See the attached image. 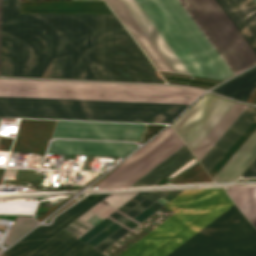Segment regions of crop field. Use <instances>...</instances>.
<instances>
[{"mask_svg":"<svg viewBox=\"0 0 256 256\" xmlns=\"http://www.w3.org/2000/svg\"><path fill=\"white\" fill-rule=\"evenodd\" d=\"M182 190L111 193L72 201L0 256H118L174 212ZM231 204L223 187L185 189L176 213L119 256H163ZM256 229L233 204L165 256H235ZM237 256H256V241Z\"/></svg>","mask_w":256,"mask_h":256,"instance_id":"1","label":"crop field"},{"mask_svg":"<svg viewBox=\"0 0 256 256\" xmlns=\"http://www.w3.org/2000/svg\"><path fill=\"white\" fill-rule=\"evenodd\" d=\"M203 92L177 86L0 79V96L190 104ZM0 97V116L169 123L188 105Z\"/></svg>","mask_w":256,"mask_h":256,"instance_id":"2","label":"crop field"},{"mask_svg":"<svg viewBox=\"0 0 256 256\" xmlns=\"http://www.w3.org/2000/svg\"><path fill=\"white\" fill-rule=\"evenodd\" d=\"M0 75L95 80V14H20L3 0Z\"/></svg>","mask_w":256,"mask_h":256,"instance_id":"3","label":"crop field"},{"mask_svg":"<svg viewBox=\"0 0 256 256\" xmlns=\"http://www.w3.org/2000/svg\"><path fill=\"white\" fill-rule=\"evenodd\" d=\"M135 1L191 76H233L176 0Z\"/></svg>","mask_w":256,"mask_h":256,"instance_id":"4","label":"crop field"},{"mask_svg":"<svg viewBox=\"0 0 256 256\" xmlns=\"http://www.w3.org/2000/svg\"><path fill=\"white\" fill-rule=\"evenodd\" d=\"M233 74L256 63V35L230 0H178Z\"/></svg>","mask_w":256,"mask_h":256,"instance_id":"5","label":"crop field"},{"mask_svg":"<svg viewBox=\"0 0 256 256\" xmlns=\"http://www.w3.org/2000/svg\"><path fill=\"white\" fill-rule=\"evenodd\" d=\"M156 74L116 17L96 14V80L165 83Z\"/></svg>","mask_w":256,"mask_h":256,"instance_id":"6","label":"crop field"},{"mask_svg":"<svg viewBox=\"0 0 256 256\" xmlns=\"http://www.w3.org/2000/svg\"><path fill=\"white\" fill-rule=\"evenodd\" d=\"M183 145L185 144L169 126L116 168L99 186H130Z\"/></svg>","mask_w":256,"mask_h":256,"instance_id":"7","label":"crop field"},{"mask_svg":"<svg viewBox=\"0 0 256 256\" xmlns=\"http://www.w3.org/2000/svg\"><path fill=\"white\" fill-rule=\"evenodd\" d=\"M233 104L207 94L172 125L193 151Z\"/></svg>","mask_w":256,"mask_h":256,"instance_id":"8","label":"crop field"},{"mask_svg":"<svg viewBox=\"0 0 256 256\" xmlns=\"http://www.w3.org/2000/svg\"><path fill=\"white\" fill-rule=\"evenodd\" d=\"M144 125L58 121L53 137L140 140Z\"/></svg>","mask_w":256,"mask_h":256,"instance_id":"9","label":"crop field"},{"mask_svg":"<svg viewBox=\"0 0 256 256\" xmlns=\"http://www.w3.org/2000/svg\"><path fill=\"white\" fill-rule=\"evenodd\" d=\"M120 21L141 46L158 71L174 73L152 42L148 39L120 0H105Z\"/></svg>","mask_w":256,"mask_h":256,"instance_id":"10","label":"crop field"},{"mask_svg":"<svg viewBox=\"0 0 256 256\" xmlns=\"http://www.w3.org/2000/svg\"><path fill=\"white\" fill-rule=\"evenodd\" d=\"M135 148L133 144L54 141L48 153L125 157Z\"/></svg>","mask_w":256,"mask_h":256,"instance_id":"11","label":"crop field"},{"mask_svg":"<svg viewBox=\"0 0 256 256\" xmlns=\"http://www.w3.org/2000/svg\"><path fill=\"white\" fill-rule=\"evenodd\" d=\"M149 39L153 42L175 73L189 75L134 0H121ZM190 76V75H189Z\"/></svg>","mask_w":256,"mask_h":256,"instance_id":"12","label":"crop field"},{"mask_svg":"<svg viewBox=\"0 0 256 256\" xmlns=\"http://www.w3.org/2000/svg\"><path fill=\"white\" fill-rule=\"evenodd\" d=\"M253 107L254 106H249L246 109V111L237 119V121L200 161V164L204 167L207 173L253 123V121L246 118Z\"/></svg>","mask_w":256,"mask_h":256,"instance_id":"13","label":"crop field"},{"mask_svg":"<svg viewBox=\"0 0 256 256\" xmlns=\"http://www.w3.org/2000/svg\"><path fill=\"white\" fill-rule=\"evenodd\" d=\"M255 159L256 130L242 145V147L232 156V158L213 177L214 181L237 180V178L255 161Z\"/></svg>","mask_w":256,"mask_h":256,"instance_id":"14","label":"crop field"},{"mask_svg":"<svg viewBox=\"0 0 256 256\" xmlns=\"http://www.w3.org/2000/svg\"><path fill=\"white\" fill-rule=\"evenodd\" d=\"M255 89L256 67L224 83L214 92L246 102Z\"/></svg>","mask_w":256,"mask_h":256,"instance_id":"15","label":"crop field"},{"mask_svg":"<svg viewBox=\"0 0 256 256\" xmlns=\"http://www.w3.org/2000/svg\"><path fill=\"white\" fill-rule=\"evenodd\" d=\"M248 105L235 103L219 123L211 130L204 140L193 151L200 160L204 154L217 142V140L227 131L236 119L245 111Z\"/></svg>","mask_w":256,"mask_h":256,"instance_id":"16","label":"crop field"},{"mask_svg":"<svg viewBox=\"0 0 256 256\" xmlns=\"http://www.w3.org/2000/svg\"><path fill=\"white\" fill-rule=\"evenodd\" d=\"M193 154L185 145L132 186L157 185L165 176L182 164Z\"/></svg>","mask_w":256,"mask_h":256,"instance_id":"17","label":"crop field"},{"mask_svg":"<svg viewBox=\"0 0 256 256\" xmlns=\"http://www.w3.org/2000/svg\"><path fill=\"white\" fill-rule=\"evenodd\" d=\"M227 192L256 227V187L229 188Z\"/></svg>","mask_w":256,"mask_h":256,"instance_id":"18","label":"crop field"},{"mask_svg":"<svg viewBox=\"0 0 256 256\" xmlns=\"http://www.w3.org/2000/svg\"><path fill=\"white\" fill-rule=\"evenodd\" d=\"M160 73L168 83L191 85V86H196L203 89H208L220 82L219 80L195 78V77L168 74V73H162V72Z\"/></svg>","mask_w":256,"mask_h":256,"instance_id":"19","label":"crop field"},{"mask_svg":"<svg viewBox=\"0 0 256 256\" xmlns=\"http://www.w3.org/2000/svg\"><path fill=\"white\" fill-rule=\"evenodd\" d=\"M256 34V4L253 0H231Z\"/></svg>","mask_w":256,"mask_h":256,"instance_id":"20","label":"crop field"},{"mask_svg":"<svg viewBox=\"0 0 256 256\" xmlns=\"http://www.w3.org/2000/svg\"><path fill=\"white\" fill-rule=\"evenodd\" d=\"M36 223L38 222H36L33 217H17L4 245L11 244Z\"/></svg>","mask_w":256,"mask_h":256,"instance_id":"21","label":"crop field"},{"mask_svg":"<svg viewBox=\"0 0 256 256\" xmlns=\"http://www.w3.org/2000/svg\"><path fill=\"white\" fill-rule=\"evenodd\" d=\"M242 177H256V162L248 169Z\"/></svg>","mask_w":256,"mask_h":256,"instance_id":"22","label":"crop field"},{"mask_svg":"<svg viewBox=\"0 0 256 256\" xmlns=\"http://www.w3.org/2000/svg\"><path fill=\"white\" fill-rule=\"evenodd\" d=\"M248 117L256 120V108L253 110V112Z\"/></svg>","mask_w":256,"mask_h":256,"instance_id":"23","label":"crop field"},{"mask_svg":"<svg viewBox=\"0 0 256 256\" xmlns=\"http://www.w3.org/2000/svg\"><path fill=\"white\" fill-rule=\"evenodd\" d=\"M1 6H2V0H0V34H1Z\"/></svg>","mask_w":256,"mask_h":256,"instance_id":"24","label":"crop field"},{"mask_svg":"<svg viewBox=\"0 0 256 256\" xmlns=\"http://www.w3.org/2000/svg\"><path fill=\"white\" fill-rule=\"evenodd\" d=\"M256 2V0H254Z\"/></svg>","mask_w":256,"mask_h":256,"instance_id":"25","label":"crop field"}]
</instances>
